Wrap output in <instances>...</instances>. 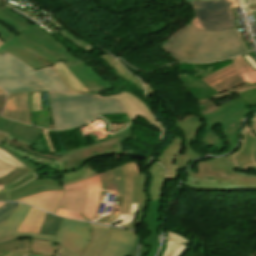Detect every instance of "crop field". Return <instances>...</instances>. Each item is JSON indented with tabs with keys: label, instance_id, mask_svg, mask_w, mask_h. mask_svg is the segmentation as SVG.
I'll use <instances>...</instances> for the list:
<instances>
[{
	"label": "crop field",
	"instance_id": "1",
	"mask_svg": "<svg viewBox=\"0 0 256 256\" xmlns=\"http://www.w3.org/2000/svg\"><path fill=\"white\" fill-rule=\"evenodd\" d=\"M0 36L6 43L0 47V55L8 51L35 70L61 60L89 91L111 89L109 83L94 69L37 26H32L17 36L0 25Z\"/></svg>",
	"mask_w": 256,
	"mask_h": 256
},
{
	"label": "crop field",
	"instance_id": "2",
	"mask_svg": "<svg viewBox=\"0 0 256 256\" xmlns=\"http://www.w3.org/2000/svg\"><path fill=\"white\" fill-rule=\"evenodd\" d=\"M163 49L184 62H212L247 52L236 28L206 32L190 24L172 35Z\"/></svg>",
	"mask_w": 256,
	"mask_h": 256
},
{
	"label": "crop field",
	"instance_id": "3",
	"mask_svg": "<svg viewBox=\"0 0 256 256\" xmlns=\"http://www.w3.org/2000/svg\"><path fill=\"white\" fill-rule=\"evenodd\" d=\"M55 129L86 123L101 114L126 113L109 96L98 93L47 92Z\"/></svg>",
	"mask_w": 256,
	"mask_h": 256
},
{
	"label": "crop field",
	"instance_id": "4",
	"mask_svg": "<svg viewBox=\"0 0 256 256\" xmlns=\"http://www.w3.org/2000/svg\"><path fill=\"white\" fill-rule=\"evenodd\" d=\"M182 185L192 190L256 191V174L235 170L231 156L207 159L191 165Z\"/></svg>",
	"mask_w": 256,
	"mask_h": 256
},
{
	"label": "crop field",
	"instance_id": "5",
	"mask_svg": "<svg viewBox=\"0 0 256 256\" xmlns=\"http://www.w3.org/2000/svg\"><path fill=\"white\" fill-rule=\"evenodd\" d=\"M0 86L8 93L69 91L50 66L35 71L8 52L0 56Z\"/></svg>",
	"mask_w": 256,
	"mask_h": 256
},
{
	"label": "crop field",
	"instance_id": "6",
	"mask_svg": "<svg viewBox=\"0 0 256 256\" xmlns=\"http://www.w3.org/2000/svg\"><path fill=\"white\" fill-rule=\"evenodd\" d=\"M197 107L200 114L206 119L205 133L199 139V144H204L208 148L225 147L226 145L215 133L214 126L220 124L222 134L231 145L227 150L230 152L236 144L239 122L251 111L239 97L220 106L213 100H207L197 104Z\"/></svg>",
	"mask_w": 256,
	"mask_h": 256
},
{
	"label": "crop field",
	"instance_id": "7",
	"mask_svg": "<svg viewBox=\"0 0 256 256\" xmlns=\"http://www.w3.org/2000/svg\"><path fill=\"white\" fill-rule=\"evenodd\" d=\"M0 160L16 168L7 177L0 179V185L5 190L0 193H6L7 201L44 191L63 190L60 182L51 179L36 180L37 175L33 171L39 168L4 146L0 147Z\"/></svg>",
	"mask_w": 256,
	"mask_h": 256
},
{
	"label": "crop field",
	"instance_id": "8",
	"mask_svg": "<svg viewBox=\"0 0 256 256\" xmlns=\"http://www.w3.org/2000/svg\"><path fill=\"white\" fill-rule=\"evenodd\" d=\"M194 17L190 24L206 31H221L234 28L231 9L240 7L237 0H212L187 2Z\"/></svg>",
	"mask_w": 256,
	"mask_h": 256
},
{
	"label": "crop field",
	"instance_id": "9",
	"mask_svg": "<svg viewBox=\"0 0 256 256\" xmlns=\"http://www.w3.org/2000/svg\"><path fill=\"white\" fill-rule=\"evenodd\" d=\"M165 169L159 164L154 162L149 166V190L148 194L151 198L148 208H147V219H146V229L151 231V235L147 237L146 243L151 247L145 249L140 245L139 256H154L160 243L157 232L158 224V207L160 196L162 192V185L164 180Z\"/></svg>",
	"mask_w": 256,
	"mask_h": 256
},
{
	"label": "crop field",
	"instance_id": "10",
	"mask_svg": "<svg viewBox=\"0 0 256 256\" xmlns=\"http://www.w3.org/2000/svg\"><path fill=\"white\" fill-rule=\"evenodd\" d=\"M232 63V60H226L218 63H205V64H182L179 63L178 70H199L200 74L197 75H180V78L184 81L186 88L190 90L194 95L198 97L199 101L209 99L210 96L218 94L213 88L207 85L200 78Z\"/></svg>",
	"mask_w": 256,
	"mask_h": 256
},
{
	"label": "crop field",
	"instance_id": "11",
	"mask_svg": "<svg viewBox=\"0 0 256 256\" xmlns=\"http://www.w3.org/2000/svg\"><path fill=\"white\" fill-rule=\"evenodd\" d=\"M233 61L234 63L202 78V80L219 93L247 83L242 74L251 72L253 69L243 56L235 58Z\"/></svg>",
	"mask_w": 256,
	"mask_h": 256
},
{
	"label": "crop field",
	"instance_id": "12",
	"mask_svg": "<svg viewBox=\"0 0 256 256\" xmlns=\"http://www.w3.org/2000/svg\"><path fill=\"white\" fill-rule=\"evenodd\" d=\"M256 115L243 128L240 148L231 154L235 168L256 173Z\"/></svg>",
	"mask_w": 256,
	"mask_h": 256
},
{
	"label": "crop field",
	"instance_id": "13",
	"mask_svg": "<svg viewBox=\"0 0 256 256\" xmlns=\"http://www.w3.org/2000/svg\"><path fill=\"white\" fill-rule=\"evenodd\" d=\"M59 248L56 242L24 238L0 244V256H18L28 253L54 256Z\"/></svg>",
	"mask_w": 256,
	"mask_h": 256
},
{
	"label": "crop field",
	"instance_id": "14",
	"mask_svg": "<svg viewBox=\"0 0 256 256\" xmlns=\"http://www.w3.org/2000/svg\"><path fill=\"white\" fill-rule=\"evenodd\" d=\"M87 238V223L64 218L56 242L72 254H76Z\"/></svg>",
	"mask_w": 256,
	"mask_h": 256
},
{
	"label": "crop field",
	"instance_id": "15",
	"mask_svg": "<svg viewBox=\"0 0 256 256\" xmlns=\"http://www.w3.org/2000/svg\"><path fill=\"white\" fill-rule=\"evenodd\" d=\"M125 176V189L123 196V205L119 217L111 222L110 226H118L131 223L135 221L136 214L138 211V204H131V191L132 182L131 177L140 173L138 165L130 163L128 165L120 167Z\"/></svg>",
	"mask_w": 256,
	"mask_h": 256
},
{
	"label": "crop field",
	"instance_id": "16",
	"mask_svg": "<svg viewBox=\"0 0 256 256\" xmlns=\"http://www.w3.org/2000/svg\"><path fill=\"white\" fill-rule=\"evenodd\" d=\"M62 187L64 190L87 191L86 202L82 213L90 220L97 211L101 195V181L99 175Z\"/></svg>",
	"mask_w": 256,
	"mask_h": 256
},
{
	"label": "crop field",
	"instance_id": "17",
	"mask_svg": "<svg viewBox=\"0 0 256 256\" xmlns=\"http://www.w3.org/2000/svg\"><path fill=\"white\" fill-rule=\"evenodd\" d=\"M100 176L102 180V195H103V197H101L100 204L101 202H103L106 191L117 194L114 201L118 202V204L115 208H119V212H120V208L122 205L123 189H124V176L122 171L120 170V168H116V169H112L107 172H104L100 174ZM113 209L109 214V216L113 214L116 216L115 218H117L119 212H114ZM105 217L106 216L102 217L100 220L96 222L107 225L108 223H110L115 219L113 218L109 220Z\"/></svg>",
	"mask_w": 256,
	"mask_h": 256
},
{
	"label": "crop field",
	"instance_id": "18",
	"mask_svg": "<svg viewBox=\"0 0 256 256\" xmlns=\"http://www.w3.org/2000/svg\"><path fill=\"white\" fill-rule=\"evenodd\" d=\"M110 230V239L99 256H124L132 248L136 233L129 230L112 228Z\"/></svg>",
	"mask_w": 256,
	"mask_h": 256
},
{
	"label": "crop field",
	"instance_id": "19",
	"mask_svg": "<svg viewBox=\"0 0 256 256\" xmlns=\"http://www.w3.org/2000/svg\"><path fill=\"white\" fill-rule=\"evenodd\" d=\"M3 145L18 153L22 157H27L44 166L54 168L60 172L63 168L62 154H40L29 148L30 145L9 138H7Z\"/></svg>",
	"mask_w": 256,
	"mask_h": 256
},
{
	"label": "crop field",
	"instance_id": "20",
	"mask_svg": "<svg viewBox=\"0 0 256 256\" xmlns=\"http://www.w3.org/2000/svg\"><path fill=\"white\" fill-rule=\"evenodd\" d=\"M114 153H122L121 143L109 146L99 147L82 153L64 157V169L62 173H68L78 170L87 161L98 157Z\"/></svg>",
	"mask_w": 256,
	"mask_h": 256
},
{
	"label": "crop field",
	"instance_id": "21",
	"mask_svg": "<svg viewBox=\"0 0 256 256\" xmlns=\"http://www.w3.org/2000/svg\"><path fill=\"white\" fill-rule=\"evenodd\" d=\"M178 126L185 133L184 138L187 140L186 153L180 156L179 169L187 167L188 163L201 155L192 150L193 140L196 139L198 128L201 126V119L196 116H187L178 121Z\"/></svg>",
	"mask_w": 256,
	"mask_h": 256
},
{
	"label": "crop field",
	"instance_id": "22",
	"mask_svg": "<svg viewBox=\"0 0 256 256\" xmlns=\"http://www.w3.org/2000/svg\"><path fill=\"white\" fill-rule=\"evenodd\" d=\"M0 130L10 133L9 138L22 141L27 144H35L42 129L35 128L20 122L4 119L0 116Z\"/></svg>",
	"mask_w": 256,
	"mask_h": 256
},
{
	"label": "crop field",
	"instance_id": "23",
	"mask_svg": "<svg viewBox=\"0 0 256 256\" xmlns=\"http://www.w3.org/2000/svg\"><path fill=\"white\" fill-rule=\"evenodd\" d=\"M30 209L31 206L21 204L11 217L0 225V237L15 233V236L55 241L56 237L53 236L16 232Z\"/></svg>",
	"mask_w": 256,
	"mask_h": 256
},
{
	"label": "crop field",
	"instance_id": "24",
	"mask_svg": "<svg viewBox=\"0 0 256 256\" xmlns=\"http://www.w3.org/2000/svg\"><path fill=\"white\" fill-rule=\"evenodd\" d=\"M3 116L30 124L27 92L8 94L7 109Z\"/></svg>",
	"mask_w": 256,
	"mask_h": 256
},
{
	"label": "crop field",
	"instance_id": "25",
	"mask_svg": "<svg viewBox=\"0 0 256 256\" xmlns=\"http://www.w3.org/2000/svg\"><path fill=\"white\" fill-rule=\"evenodd\" d=\"M133 192H132V203H139V212L135 222L124 225L122 227L130 228L136 231L135 226L142 224L144 212L146 210V203L148 201L147 194L145 192L147 178L144 173L139 174L132 178Z\"/></svg>",
	"mask_w": 256,
	"mask_h": 256
},
{
	"label": "crop field",
	"instance_id": "26",
	"mask_svg": "<svg viewBox=\"0 0 256 256\" xmlns=\"http://www.w3.org/2000/svg\"><path fill=\"white\" fill-rule=\"evenodd\" d=\"M92 225L93 239L87 249L80 256H98L109 238V230L106 226ZM55 256H74L64 248H60Z\"/></svg>",
	"mask_w": 256,
	"mask_h": 256
},
{
	"label": "crop field",
	"instance_id": "27",
	"mask_svg": "<svg viewBox=\"0 0 256 256\" xmlns=\"http://www.w3.org/2000/svg\"><path fill=\"white\" fill-rule=\"evenodd\" d=\"M183 140L176 137L171 145L165 149L157 159L167 170V180H174L178 173V160Z\"/></svg>",
	"mask_w": 256,
	"mask_h": 256
},
{
	"label": "crop field",
	"instance_id": "28",
	"mask_svg": "<svg viewBox=\"0 0 256 256\" xmlns=\"http://www.w3.org/2000/svg\"><path fill=\"white\" fill-rule=\"evenodd\" d=\"M111 97L121 102L126 112L128 113L130 119H132L135 115L140 114L152 123H154L156 126H158L161 129L163 135V129L160 126V124L154 119V117L144 106V104L140 102L137 98L125 93L113 95Z\"/></svg>",
	"mask_w": 256,
	"mask_h": 256
},
{
	"label": "crop field",
	"instance_id": "29",
	"mask_svg": "<svg viewBox=\"0 0 256 256\" xmlns=\"http://www.w3.org/2000/svg\"><path fill=\"white\" fill-rule=\"evenodd\" d=\"M62 194L63 191L45 192L14 201L25 202L55 214Z\"/></svg>",
	"mask_w": 256,
	"mask_h": 256
},
{
	"label": "crop field",
	"instance_id": "30",
	"mask_svg": "<svg viewBox=\"0 0 256 256\" xmlns=\"http://www.w3.org/2000/svg\"><path fill=\"white\" fill-rule=\"evenodd\" d=\"M0 22L8 25L14 29L19 34L22 33L27 28L31 27L33 24L29 22L24 17L0 6ZM5 43L0 40V46Z\"/></svg>",
	"mask_w": 256,
	"mask_h": 256
},
{
	"label": "crop field",
	"instance_id": "31",
	"mask_svg": "<svg viewBox=\"0 0 256 256\" xmlns=\"http://www.w3.org/2000/svg\"><path fill=\"white\" fill-rule=\"evenodd\" d=\"M51 67L57 75L64 81L70 91H88L85 86L74 76V74L64 66L62 62H57Z\"/></svg>",
	"mask_w": 256,
	"mask_h": 256
},
{
	"label": "crop field",
	"instance_id": "32",
	"mask_svg": "<svg viewBox=\"0 0 256 256\" xmlns=\"http://www.w3.org/2000/svg\"><path fill=\"white\" fill-rule=\"evenodd\" d=\"M86 192L65 191L59 205L60 209L81 212L85 202Z\"/></svg>",
	"mask_w": 256,
	"mask_h": 256
},
{
	"label": "crop field",
	"instance_id": "33",
	"mask_svg": "<svg viewBox=\"0 0 256 256\" xmlns=\"http://www.w3.org/2000/svg\"><path fill=\"white\" fill-rule=\"evenodd\" d=\"M46 214V212L32 207L18 231L38 233Z\"/></svg>",
	"mask_w": 256,
	"mask_h": 256
},
{
	"label": "crop field",
	"instance_id": "34",
	"mask_svg": "<svg viewBox=\"0 0 256 256\" xmlns=\"http://www.w3.org/2000/svg\"><path fill=\"white\" fill-rule=\"evenodd\" d=\"M189 243L190 241L176 234L168 233L167 249L163 256H181L182 253L192 248Z\"/></svg>",
	"mask_w": 256,
	"mask_h": 256
},
{
	"label": "crop field",
	"instance_id": "35",
	"mask_svg": "<svg viewBox=\"0 0 256 256\" xmlns=\"http://www.w3.org/2000/svg\"><path fill=\"white\" fill-rule=\"evenodd\" d=\"M132 129H133V124L131 123L130 126L127 129L117 133L116 135L108 138L107 140H105L103 142H100V143H97V144H94V145H91V146H88V147L76 149L74 151L65 152V153H63V157L71 155V154H75V153H78V152H81V151H85V150H88V149H92V148H95V147L109 145V144H113V143H117V142H122L123 140H125L130 135Z\"/></svg>",
	"mask_w": 256,
	"mask_h": 256
},
{
	"label": "crop field",
	"instance_id": "36",
	"mask_svg": "<svg viewBox=\"0 0 256 256\" xmlns=\"http://www.w3.org/2000/svg\"><path fill=\"white\" fill-rule=\"evenodd\" d=\"M95 174H98L94 170L90 169L86 164L80 168L77 172L68 173V174H62L61 180L62 185L68 184L71 182H75L78 180L85 179L87 177L93 176Z\"/></svg>",
	"mask_w": 256,
	"mask_h": 256
},
{
	"label": "crop field",
	"instance_id": "37",
	"mask_svg": "<svg viewBox=\"0 0 256 256\" xmlns=\"http://www.w3.org/2000/svg\"><path fill=\"white\" fill-rule=\"evenodd\" d=\"M62 219L61 217L48 213L39 233L56 236Z\"/></svg>",
	"mask_w": 256,
	"mask_h": 256
},
{
	"label": "crop field",
	"instance_id": "38",
	"mask_svg": "<svg viewBox=\"0 0 256 256\" xmlns=\"http://www.w3.org/2000/svg\"><path fill=\"white\" fill-rule=\"evenodd\" d=\"M109 66L112 67L116 71V74L120 75L123 79L127 80L130 84L139 87L142 90V92L144 93L141 81L138 80L137 78H135L133 75H131L126 70H124L117 61L110 64Z\"/></svg>",
	"mask_w": 256,
	"mask_h": 256
},
{
	"label": "crop field",
	"instance_id": "39",
	"mask_svg": "<svg viewBox=\"0 0 256 256\" xmlns=\"http://www.w3.org/2000/svg\"><path fill=\"white\" fill-rule=\"evenodd\" d=\"M177 79L179 80V82L182 84L183 81L179 79V76H177ZM182 86L184 87L185 85L182 84ZM253 88H256V85H252V86H249L248 84L246 85H242V86H238L236 88H233L229 91H226V92H223L221 94H218V95H215V96H212L211 99H219V98H222V97H225V96H228V95H231V94H234V93H239V92H242V91H246V90H249V89H253ZM186 89V88H185ZM187 90V89H186ZM188 91V90H187ZM188 93L190 94V96L192 97V99L196 100L197 103H200L198 100H197V97L194 96L191 92L188 91Z\"/></svg>",
	"mask_w": 256,
	"mask_h": 256
},
{
	"label": "crop field",
	"instance_id": "40",
	"mask_svg": "<svg viewBox=\"0 0 256 256\" xmlns=\"http://www.w3.org/2000/svg\"><path fill=\"white\" fill-rule=\"evenodd\" d=\"M17 205L18 203H7L0 207V224L11 215Z\"/></svg>",
	"mask_w": 256,
	"mask_h": 256
},
{
	"label": "crop field",
	"instance_id": "41",
	"mask_svg": "<svg viewBox=\"0 0 256 256\" xmlns=\"http://www.w3.org/2000/svg\"><path fill=\"white\" fill-rule=\"evenodd\" d=\"M110 123H130L127 114L101 115Z\"/></svg>",
	"mask_w": 256,
	"mask_h": 256
},
{
	"label": "crop field",
	"instance_id": "42",
	"mask_svg": "<svg viewBox=\"0 0 256 256\" xmlns=\"http://www.w3.org/2000/svg\"><path fill=\"white\" fill-rule=\"evenodd\" d=\"M237 95L240 96V98L242 99L246 106L250 103L256 102V89L242 92Z\"/></svg>",
	"mask_w": 256,
	"mask_h": 256
},
{
	"label": "crop field",
	"instance_id": "43",
	"mask_svg": "<svg viewBox=\"0 0 256 256\" xmlns=\"http://www.w3.org/2000/svg\"><path fill=\"white\" fill-rule=\"evenodd\" d=\"M13 170L15 169L0 161V178L7 176Z\"/></svg>",
	"mask_w": 256,
	"mask_h": 256
},
{
	"label": "crop field",
	"instance_id": "44",
	"mask_svg": "<svg viewBox=\"0 0 256 256\" xmlns=\"http://www.w3.org/2000/svg\"><path fill=\"white\" fill-rule=\"evenodd\" d=\"M128 124H110V132L111 133H115L118 132L122 129H124L125 127H127Z\"/></svg>",
	"mask_w": 256,
	"mask_h": 256
},
{
	"label": "crop field",
	"instance_id": "45",
	"mask_svg": "<svg viewBox=\"0 0 256 256\" xmlns=\"http://www.w3.org/2000/svg\"><path fill=\"white\" fill-rule=\"evenodd\" d=\"M245 78L248 80L249 84H256V71L244 74Z\"/></svg>",
	"mask_w": 256,
	"mask_h": 256
},
{
	"label": "crop field",
	"instance_id": "46",
	"mask_svg": "<svg viewBox=\"0 0 256 256\" xmlns=\"http://www.w3.org/2000/svg\"><path fill=\"white\" fill-rule=\"evenodd\" d=\"M88 229H89V238H88V241H87V243L84 245V247L78 252V254H81V252L86 249V247L88 246V244L90 243V241H91V239H92V231H91V225H90V223H88Z\"/></svg>",
	"mask_w": 256,
	"mask_h": 256
},
{
	"label": "crop field",
	"instance_id": "47",
	"mask_svg": "<svg viewBox=\"0 0 256 256\" xmlns=\"http://www.w3.org/2000/svg\"><path fill=\"white\" fill-rule=\"evenodd\" d=\"M99 57H100L102 60H104L107 64H110V63L116 61L113 57L107 56V55H105V54H101Z\"/></svg>",
	"mask_w": 256,
	"mask_h": 256
},
{
	"label": "crop field",
	"instance_id": "48",
	"mask_svg": "<svg viewBox=\"0 0 256 256\" xmlns=\"http://www.w3.org/2000/svg\"><path fill=\"white\" fill-rule=\"evenodd\" d=\"M19 238L20 237H14V234H12V235H9V236L1 237L0 238V243L15 240V239H19Z\"/></svg>",
	"mask_w": 256,
	"mask_h": 256
},
{
	"label": "crop field",
	"instance_id": "49",
	"mask_svg": "<svg viewBox=\"0 0 256 256\" xmlns=\"http://www.w3.org/2000/svg\"><path fill=\"white\" fill-rule=\"evenodd\" d=\"M137 241H138V236L136 243L134 244L133 248L130 250V252L126 256H136L137 255Z\"/></svg>",
	"mask_w": 256,
	"mask_h": 256
},
{
	"label": "crop field",
	"instance_id": "50",
	"mask_svg": "<svg viewBox=\"0 0 256 256\" xmlns=\"http://www.w3.org/2000/svg\"><path fill=\"white\" fill-rule=\"evenodd\" d=\"M5 98H6V95H0V115L3 112L5 107Z\"/></svg>",
	"mask_w": 256,
	"mask_h": 256
},
{
	"label": "crop field",
	"instance_id": "51",
	"mask_svg": "<svg viewBox=\"0 0 256 256\" xmlns=\"http://www.w3.org/2000/svg\"><path fill=\"white\" fill-rule=\"evenodd\" d=\"M247 62L256 70V62H254L253 58L249 55L244 56Z\"/></svg>",
	"mask_w": 256,
	"mask_h": 256
},
{
	"label": "crop field",
	"instance_id": "52",
	"mask_svg": "<svg viewBox=\"0 0 256 256\" xmlns=\"http://www.w3.org/2000/svg\"><path fill=\"white\" fill-rule=\"evenodd\" d=\"M147 95L152 96L155 94V90L150 87V84L144 83Z\"/></svg>",
	"mask_w": 256,
	"mask_h": 256
},
{
	"label": "crop field",
	"instance_id": "53",
	"mask_svg": "<svg viewBox=\"0 0 256 256\" xmlns=\"http://www.w3.org/2000/svg\"><path fill=\"white\" fill-rule=\"evenodd\" d=\"M8 133H4L0 131V146L5 141V139L8 137Z\"/></svg>",
	"mask_w": 256,
	"mask_h": 256
},
{
	"label": "crop field",
	"instance_id": "54",
	"mask_svg": "<svg viewBox=\"0 0 256 256\" xmlns=\"http://www.w3.org/2000/svg\"><path fill=\"white\" fill-rule=\"evenodd\" d=\"M56 214H57V215H60V216H65V217H71V218H73V217L70 216L66 211L60 210V209H58V211H57Z\"/></svg>",
	"mask_w": 256,
	"mask_h": 256
},
{
	"label": "crop field",
	"instance_id": "55",
	"mask_svg": "<svg viewBox=\"0 0 256 256\" xmlns=\"http://www.w3.org/2000/svg\"><path fill=\"white\" fill-rule=\"evenodd\" d=\"M247 107H249L253 112L256 111V103H253V104H251L250 106H247Z\"/></svg>",
	"mask_w": 256,
	"mask_h": 256
},
{
	"label": "crop field",
	"instance_id": "56",
	"mask_svg": "<svg viewBox=\"0 0 256 256\" xmlns=\"http://www.w3.org/2000/svg\"><path fill=\"white\" fill-rule=\"evenodd\" d=\"M100 216H102V214L96 213L94 217L91 219V221L98 219Z\"/></svg>",
	"mask_w": 256,
	"mask_h": 256
},
{
	"label": "crop field",
	"instance_id": "57",
	"mask_svg": "<svg viewBox=\"0 0 256 256\" xmlns=\"http://www.w3.org/2000/svg\"><path fill=\"white\" fill-rule=\"evenodd\" d=\"M0 201H6L5 194H0Z\"/></svg>",
	"mask_w": 256,
	"mask_h": 256
},
{
	"label": "crop field",
	"instance_id": "58",
	"mask_svg": "<svg viewBox=\"0 0 256 256\" xmlns=\"http://www.w3.org/2000/svg\"><path fill=\"white\" fill-rule=\"evenodd\" d=\"M240 2H241V4H242L243 6H245L246 0H240Z\"/></svg>",
	"mask_w": 256,
	"mask_h": 256
},
{
	"label": "crop field",
	"instance_id": "59",
	"mask_svg": "<svg viewBox=\"0 0 256 256\" xmlns=\"http://www.w3.org/2000/svg\"><path fill=\"white\" fill-rule=\"evenodd\" d=\"M247 16L253 15V12L246 13Z\"/></svg>",
	"mask_w": 256,
	"mask_h": 256
},
{
	"label": "crop field",
	"instance_id": "60",
	"mask_svg": "<svg viewBox=\"0 0 256 256\" xmlns=\"http://www.w3.org/2000/svg\"><path fill=\"white\" fill-rule=\"evenodd\" d=\"M248 256H256V252H255V253H252V254H250V255H248Z\"/></svg>",
	"mask_w": 256,
	"mask_h": 256
},
{
	"label": "crop field",
	"instance_id": "61",
	"mask_svg": "<svg viewBox=\"0 0 256 256\" xmlns=\"http://www.w3.org/2000/svg\"><path fill=\"white\" fill-rule=\"evenodd\" d=\"M0 191H4L2 186H0Z\"/></svg>",
	"mask_w": 256,
	"mask_h": 256
},
{
	"label": "crop field",
	"instance_id": "62",
	"mask_svg": "<svg viewBox=\"0 0 256 256\" xmlns=\"http://www.w3.org/2000/svg\"><path fill=\"white\" fill-rule=\"evenodd\" d=\"M0 93H6V92H4L2 89H0Z\"/></svg>",
	"mask_w": 256,
	"mask_h": 256
},
{
	"label": "crop field",
	"instance_id": "63",
	"mask_svg": "<svg viewBox=\"0 0 256 256\" xmlns=\"http://www.w3.org/2000/svg\"><path fill=\"white\" fill-rule=\"evenodd\" d=\"M3 204H5V203H0V206H2Z\"/></svg>",
	"mask_w": 256,
	"mask_h": 256
},
{
	"label": "crop field",
	"instance_id": "64",
	"mask_svg": "<svg viewBox=\"0 0 256 256\" xmlns=\"http://www.w3.org/2000/svg\"><path fill=\"white\" fill-rule=\"evenodd\" d=\"M183 1H192V0H183Z\"/></svg>",
	"mask_w": 256,
	"mask_h": 256
},
{
	"label": "crop field",
	"instance_id": "65",
	"mask_svg": "<svg viewBox=\"0 0 256 256\" xmlns=\"http://www.w3.org/2000/svg\"><path fill=\"white\" fill-rule=\"evenodd\" d=\"M27 256H32V255H27Z\"/></svg>",
	"mask_w": 256,
	"mask_h": 256
}]
</instances>
